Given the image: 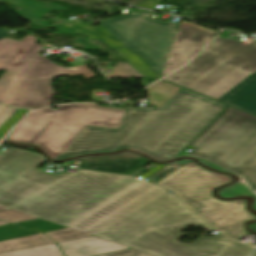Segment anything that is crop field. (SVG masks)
Instances as JSON below:
<instances>
[{"label": "crop field", "mask_w": 256, "mask_h": 256, "mask_svg": "<svg viewBox=\"0 0 256 256\" xmlns=\"http://www.w3.org/2000/svg\"><path fill=\"white\" fill-rule=\"evenodd\" d=\"M218 194L222 198H228V197H235V196H243V195H248V196H253V194L242 181H238L237 183L222 189L218 192Z\"/></svg>", "instance_id": "obj_25"}, {"label": "crop field", "mask_w": 256, "mask_h": 256, "mask_svg": "<svg viewBox=\"0 0 256 256\" xmlns=\"http://www.w3.org/2000/svg\"><path fill=\"white\" fill-rule=\"evenodd\" d=\"M252 256H256V252H254Z\"/></svg>", "instance_id": "obj_41"}, {"label": "crop field", "mask_w": 256, "mask_h": 256, "mask_svg": "<svg viewBox=\"0 0 256 256\" xmlns=\"http://www.w3.org/2000/svg\"><path fill=\"white\" fill-rule=\"evenodd\" d=\"M218 33L219 31L181 20L161 77L190 60L203 45Z\"/></svg>", "instance_id": "obj_11"}, {"label": "crop field", "mask_w": 256, "mask_h": 256, "mask_svg": "<svg viewBox=\"0 0 256 256\" xmlns=\"http://www.w3.org/2000/svg\"><path fill=\"white\" fill-rule=\"evenodd\" d=\"M5 108H6V107H1V106H0V113H1ZM3 112H4V111H3ZM3 112H2V113H3Z\"/></svg>", "instance_id": "obj_39"}, {"label": "crop field", "mask_w": 256, "mask_h": 256, "mask_svg": "<svg viewBox=\"0 0 256 256\" xmlns=\"http://www.w3.org/2000/svg\"><path fill=\"white\" fill-rule=\"evenodd\" d=\"M28 110L19 109L14 115H12L1 127H0V137L9 131L19 119L27 112Z\"/></svg>", "instance_id": "obj_28"}, {"label": "crop field", "mask_w": 256, "mask_h": 256, "mask_svg": "<svg viewBox=\"0 0 256 256\" xmlns=\"http://www.w3.org/2000/svg\"><path fill=\"white\" fill-rule=\"evenodd\" d=\"M190 146L191 156L233 172L256 151V117L229 107Z\"/></svg>", "instance_id": "obj_8"}, {"label": "crop field", "mask_w": 256, "mask_h": 256, "mask_svg": "<svg viewBox=\"0 0 256 256\" xmlns=\"http://www.w3.org/2000/svg\"><path fill=\"white\" fill-rule=\"evenodd\" d=\"M179 89L180 87L161 81L149 87L146 91L149 93L148 99L151 104L160 106L164 105Z\"/></svg>", "instance_id": "obj_17"}, {"label": "crop field", "mask_w": 256, "mask_h": 256, "mask_svg": "<svg viewBox=\"0 0 256 256\" xmlns=\"http://www.w3.org/2000/svg\"><path fill=\"white\" fill-rule=\"evenodd\" d=\"M36 37L28 35L17 42L0 40V69L7 70L0 78V104L39 108L50 105L53 78L65 75L95 74L86 66L62 68L37 55L43 48Z\"/></svg>", "instance_id": "obj_4"}, {"label": "crop field", "mask_w": 256, "mask_h": 256, "mask_svg": "<svg viewBox=\"0 0 256 256\" xmlns=\"http://www.w3.org/2000/svg\"><path fill=\"white\" fill-rule=\"evenodd\" d=\"M97 256H154L136 249H130V250H124V251H118V252H112Z\"/></svg>", "instance_id": "obj_29"}, {"label": "crop field", "mask_w": 256, "mask_h": 256, "mask_svg": "<svg viewBox=\"0 0 256 256\" xmlns=\"http://www.w3.org/2000/svg\"><path fill=\"white\" fill-rule=\"evenodd\" d=\"M36 154L10 149L0 156V205L70 225L139 180L77 170L48 174Z\"/></svg>", "instance_id": "obj_1"}, {"label": "crop field", "mask_w": 256, "mask_h": 256, "mask_svg": "<svg viewBox=\"0 0 256 256\" xmlns=\"http://www.w3.org/2000/svg\"><path fill=\"white\" fill-rule=\"evenodd\" d=\"M9 35V31L6 30V29H0V39L5 37V36H8Z\"/></svg>", "instance_id": "obj_35"}, {"label": "crop field", "mask_w": 256, "mask_h": 256, "mask_svg": "<svg viewBox=\"0 0 256 256\" xmlns=\"http://www.w3.org/2000/svg\"><path fill=\"white\" fill-rule=\"evenodd\" d=\"M124 109L97 105H63L28 115L7 138L8 141L38 145L56 158L87 126L116 128Z\"/></svg>", "instance_id": "obj_6"}, {"label": "crop field", "mask_w": 256, "mask_h": 256, "mask_svg": "<svg viewBox=\"0 0 256 256\" xmlns=\"http://www.w3.org/2000/svg\"><path fill=\"white\" fill-rule=\"evenodd\" d=\"M154 12L121 13L100 22L119 41L139 54L160 77L179 24L154 20Z\"/></svg>", "instance_id": "obj_9"}, {"label": "crop field", "mask_w": 256, "mask_h": 256, "mask_svg": "<svg viewBox=\"0 0 256 256\" xmlns=\"http://www.w3.org/2000/svg\"><path fill=\"white\" fill-rule=\"evenodd\" d=\"M165 190L96 234L157 256H248L254 247L222 234L199 236L191 244L179 243L188 225L212 229ZM213 230V229H212ZM252 253V252H251Z\"/></svg>", "instance_id": "obj_3"}, {"label": "crop field", "mask_w": 256, "mask_h": 256, "mask_svg": "<svg viewBox=\"0 0 256 256\" xmlns=\"http://www.w3.org/2000/svg\"><path fill=\"white\" fill-rule=\"evenodd\" d=\"M231 181V177L213 174L201 167L167 189L178 193L183 203L196 215L237 240L249 234L243 224L256 219V216L246 210V200L226 202L214 198L213 189Z\"/></svg>", "instance_id": "obj_7"}, {"label": "crop field", "mask_w": 256, "mask_h": 256, "mask_svg": "<svg viewBox=\"0 0 256 256\" xmlns=\"http://www.w3.org/2000/svg\"><path fill=\"white\" fill-rule=\"evenodd\" d=\"M253 199H254L253 208L256 210V197Z\"/></svg>", "instance_id": "obj_37"}, {"label": "crop field", "mask_w": 256, "mask_h": 256, "mask_svg": "<svg viewBox=\"0 0 256 256\" xmlns=\"http://www.w3.org/2000/svg\"><path fill=\"white\" fill-rule=\"evenodd\" d=\"M3 209H8V208L0 206V210H3Z\"/></svg>", "instance_id": "obj_40"}, {"label": "crop field", "mask_w": 256, "mask_h": 256, "mask_svg": "<svg viewBox=\"0 0 256 256\" xmlns=\"http://www.w3.org/2000/svg\"><path fill=\"white\" fill-rule=\"evenodd\" d=\"M218 101L256 115V72L249 75Z\"/></svg>", "instance_id": "obj_14"}, {"label": "crop field", "mask_w": 256, "mask_h": 256, "mask_svg": "<svg viewBox=\"0 0 256 256\" xmlns=\"http://www.w3.org/2000/svg\"><path fill=\"white\" fill-rule=\"evenodd\" d=\"M5 225H9V224L4 223V222H0V226H5Z\"/></svg>", "instance_id": "obj_38"}, {"label": "crop field", "mask_w": 256, "mask_h": 256, "mask_svg": "<svg viewBox=\"0 0 256 256\" xmlns=\"http://www.w3.org/2000/svg\"><path fill=\"white\" fill-rule=\"evenodd\" d=\"M200 166L197 165L195 162H191L188 165L184 166L180 170L176 171L172 175L168 176L164 180L160 181L157 185H160L162 187H169L170 185L174 184L178 180L182 179L186 175L190 174L194 170L198 169Z\"/></svg>", "instance_id": "obj_22"}, {"label": "crop field", "mask_w": 256, "mask_h": 256, "mask_svg": "<svg viewBox=\"0 0 256 256\" xmlns=\"http://www.w3.org/2000/svg\"><path fill=\"white\" fill-rule=\"evenodd\" d=\"M108 77H144L136 69L127 63H118L117 67H113V74Z\"/></svg>", "instance_id": "obj_26"}, {"label": "crop field", "mask_w": 256, "mask_h": 256, "mask_svg": "<svg viewBox=\"0 0 256 256\" xmlns=\"http://www.w3.org/2000/svg\"><path fill=\"white\" fill-rule=\"evenodd\" d=\"M193 147H190V146H188L187 148H186V150L182 153V154H180V155H188L189 153H185L188 149H192Z\"/></svg>", "instance_id": "obj_36"}, {"label": "crop field", "mask_w": 256, "mask_h": 256, "mask_svg": "<svg viewBox=\"0 0 256 256\" xmlns=\"http://www.w3.org/2000/svg\"><path fill=\"white\" fill-rule=\"evenodd\" d=\"M149 162L151 161L133 153H123L111 156L76 159L72 160L71 165L78 166L77 168L80 169L130 175Z\"/></svg>", "instance_id": "obj_12"}, {"label": "crop field", "mask_w": 256, "mask_h": 256, "mask_svg": "<svg viewBox=\"0 0 256 256\" xmlns=\"http://www.w3.org/2000/svg\"><path fill=\"white\" fill-rule=\"evenodd\" d=\"M119 56L124 59L127 63L131 64L139 72H141L148 79H157L155 74L147 66V64L140 59L136 54L129 51L126 47L116 50Z\"/></svg>", "instance_id": "obj_18"}, {"label": "crop field", "mask_w": 256, "mask_h": 256, "mask_svg": "<svg viewBox=\"0 0 256 256\" xmlns=\"http://www.w3.org/2000/svg\"><path fill=\"white\" fill-rule=\"evenodd\" d=\"M162 166H164V165L159 164L158 166H156L155 168H153L152 170H150L149 172H147L146 174H144V175L141 176V177L145 178L146 176L150 175L151 173H153L154 171L158 170V169L161 168ZM143 178H141V179H143Z\"/></svg>", "instance_id": "obj_34"}, {"label": "crop field", "mask_w": 256, "mask_h": 256, "mask_svg": "<svg viewBox=\"0 0 256 256\" xmlns=\"http://www.w3.org/2000/svg\"><path fill=\"white\" fill-rule=\"evenodd\" d=\"M75 42L86 46V47H85V50H96V49H99V48H100L99 46H96V45L90 43V42L88 41V39L77 38ZM88 45H91V47H88Z\"/></svg>", "instance_id": "obj_31"}, {"label": "crop field", "mask_w": 256, "mask_h": 256, "mask_svg": "<svg viewBox=\"0 0 256 256\" xmlns=\"http://www.w3.org/2000/svg\"><path fill=\"white\" fill-rule=\"evenodd\" d=\"M70 24L71 26H69ZM60 33L78 35L83 33L90 39L99 40L102 43L108 44L112 50L124 47L111 33H109L103 26H89L79 20L57 25Z\"/></svg>", "instance_id": "obj_15"}, {"label": "crop field", "mask_w": 256, "mask_h": 256, "mask_svg": "<svg viewBox=\"0 0 256 256\" xmlns=\"http://www.w3.org/2000/svg\"><path fill=\"white\" fill-rule=\"evenodd\" d=\"M163 190L140 181L68 227L92 235Z\"/></svg>", "instance_id": "obj_10"}, {"label": "crop field", "mask_w": 256, "mask_h": 256, "mask_svg": "<svg viewBox=\"0 0 256 256\" xmlns=\"http://www.w3.org/2000/svg\"><path fill=\"white\" fill-rule=\"evenodd\" d=\"M256 71V41L218 37L191 64L165 80L215 100Z\"/></svg>", "instance_id": "obj_5"}, {"label": "crop field", "mask_w": 256, "mask_h": 256, "mask_svg": "<svg viewBox=\"0 0 256 256\" xmlns=\"http://www.w3.org/2000/svg\"><path fill=\"white\" fill-rule=\"evenodd\" d=\"M46 235H48L50 238H52L56 242L73 240V239L90 236L88 234L79 232L71 228L59 230V231L47 232Z\"/></svg>", "instance_id": "obj_24"}, {"label": "crop field", "mask_w": 256, "mask_h": 256, "mask_svg": "<svg viewBox=\"0 0 256 256\" xmlns=\"http://www.w3.org/2000/svg\"><path fill=\"white\" fill-rule=\"evenodd\" d=\"M66 256H92L112 251L130 249L108 240L96 238L94 236L58 243Z\"/></svg>", "instance_id": "obj_13"}, {"label": "crop field", "mask_w": 256, "mask_h": 256, "mask_svg": "<svg viewBox=\"0 0 256 256\" xmlns=\"http://www.w3.org/2000/svg\"><path fill=\"white\" fill-rule=\"evenodd\" d=\"M54 242L46 235L40 234L5 242H0V253L13 250L25 249L41 245L53 244Z\"/></svg>", "instance_id": "obj_16"}, {"label": "crop field", "mask_w": 256, "mask_h": 256, "mask_svg": "<svg viewBox=\"0 0 256 256\" xmlns=\"http://www.w3.org/2000/svg\"><path fill=\"white\" fill-rule=\"evenodd\" d=\"M0 219L8 222L16 223V222L36 219V217L30 216L12 209H8V210L0 211Z\"/></svg>", "instance_id": "obj_27"}, {"label": "crop field", "mask_w": 256, "mask_h": 256, "mask_svg": "<svg viewBox=\"0 0 256 256\" xmlns=\"http://www.w3.org/2000/svg\"><path fill=\"white\" fill-rule=\"evenodd\" d=\"M234 173L241 176L245 183L256 191V152Z\"/></svg>", "instance_id": "obj_20"}, {"label": "crop field", "mask_w": 256, "mask_h": 256, "mask_svg": "<svg viewBox=\"0 0 256 256\" xmlns=\"http://www.w3.org/2000/svg\"><path fill=\"white\" fill-rule=\"evenodd\" d=\"M16 224L22 225L28 228H32L35 230L43 231V232L67 228L66 226H63L51 221H47L44 219H36V220H31V221H26V222H21Z\"/></svg>", "instance_id": "obj_23"}, {"label": "crop field", "mask_w": 256, "mask_h": 256, "mask_svg": "<svg viewBox=\"0 0 256 256\" xmlns=\"http://www.w3.org/2000/svg\"><path fill=\"white\" fill-rule=\"evenodd\" d=\"M40 234L31 230L20 228L17 226L9 225L0 227V241Z\"/></svg>", "instance_id": "obj_21"}, {"label": "crop field", "mask_w": 256, "mask_h": 256, "mask_svg": "<svg viewBox=\"0 0 256 256\" xmlns=\"http://www.w3.org/2000/svg\"><path fill=\"white\" fill-rule=\"evenodd\" d=\"M198 160H199L200 163H203V164H205V165H207V166H209V167H211V168H213V169H215L217 171L228 172V171H226V170H224V169H222V168H220V167H218V166H216V165H214V164H212L210 162L204 161L202 159H198Z\"/></svg>", "instance_id": "obj_33"}, {"label": "crop field", "mask_w": 256, "mask_h": 256, "mask_svg": "<svg viewBox=\"0 0 256 256\" xmlns=\"http://www.w3.org/2000/svg\"><path fill=\"white\" fill-rule=\"evenodd\" d=\"M226 107L180 89L164 106L125 108L116 129L87 126L56 159L129 148L157 161L170 160Z\"/></svg>", "instance_id": "obj_2"}, {"label": "crop field", "mask_w": 256, "mask_h": 256, "mask_svg": "<svg viewBox=\"0 0 256 256\" xmlns=\"http://www.w3.org/2000/svg\"><path fill=\"white\" fill-rule=\"evenodd\" d=\"M0 256H63L56 244L2 253Z\"/></svg>", "instance_id": "obj_19"}, {"label": "crop field", "mask_w": 256, "mask_h": 256, "mask_svg": "<svg viewBox=\"0 0 256 256\" xmlns=\"http://www.w3.org/2000/svg\"><path fill=\"white\" fill-rule=\"evenodd\" d=\"M159 4H160L159 0H148L147 2H145V3H143V4L139 5V6L154 9ZM155 10H157V9H155ZM159 11H163V12L169 13V11L165 10V9H161Z\"/></svg>", "instance_id": "obj_32"}, {"label": "crop field", "mask_w": 256, "mask_h": 256, "mask_svg": "<svg viewBox=\"0 0 256 256\" xmlns=\"http://www.w3.org/2000/svg\"><path fill=\"white\" fill-rule=\"evenodd\" d=\"M17 108L7 107L4 112L0 115V126L13 114L17 111Z\"/></svg>", "instance_id": "obj_30"}]
</instances>
